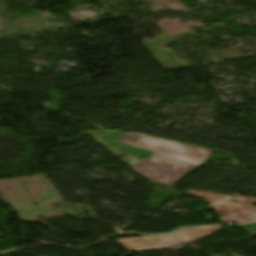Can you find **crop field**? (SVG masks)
Returning a JSON list of instances; mask_svg holds the SVG:
<instances>
[{
  "label": "crop field",
  "instance_id": "obj_1",
  "mask_svg": "<svg viewBox=\"0 0 256 256\" xmlns=\"http://www.w3.org/2000/svg\"><path fill=\"white\" fill-rule=\"evenodd\" d=\"M106 142L149 157L131 167L141 176L172 187L195 170L213 151L143 135L110 132Z\"/></svg>",
  "mask_w": 256,
  "mask_h": 256
},
{
  "label": "crop field",
  "instance_id": "obj_2",
  "mask_svg": "<svg viewBox=\"0 0 256 256\" xmlns=\"http://www.w3.org/2000/svg\"><path fill=\"white\" fill-rule=\"evenodd\" d=\"M217 229V225L187 227L181 228L172 234L119 239L116 241L130 251L185 246L188 242L198 237H206Z\"/></svg>",
  "mask_w": 256,
  "mask_h": 256
},
{
  "label": "crop field",
  "instance_id": "obj_3",
  "mask_svg": "<svg viewBox=\"0 0 256 256\" xmlns=\"http://www.w3.org/2000/svg\"><path fill=\"white\" fill-rule=\"evenodd\" d=\"M222 216L221 223L234 221L237 224L256 221V207L245 202H232L228 199L210 204Z\"/></svg>",
  "mask_w": 256,
  "mask_h": 256
},
{
  "label": "crop field",
  "instance_id": "obj_4",
  "mask_svg": "<svg viewBox=\"0 0 256 256\" xmlns=\"http://www.w3.org/2000/svg\"><path fill=\"white\" fill-rule=\"evenodd\" d=\"M239 228L248 232L251 236L256 235V224L240 226Z\"/></svg>",
  "mask_w": 256,
  "mask_h": 256
}]
</instances>
